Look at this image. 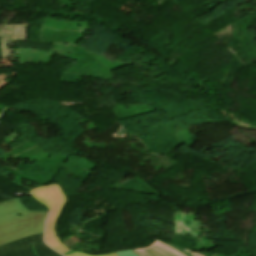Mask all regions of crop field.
<instances>
[{
    "instance_id": "2",
    "label": "crop field",
    "mask_w": 256,
    "mask_h": 256,
    "mask_svg": "<svg viewBox=\"0 0 256 256\" xmlns=\"http://www.w3.org/2000/svg\"><path fill=\"white\" fill-rule=\"evenodd\" d=\"M32 196L50 211L45 229V243L57 250L59 253L71 251L69 247L62 244L55 230L57 219L67 201L62 188L58 183L45 187H38L31 191Z\"/></svg>"
},
{
    "instance_id": "6",
    "label": "crop field",
    "mask_w": 256,
    "mask_h": 256,
    "mask_svg": "<svg viewBox=\"0 0 256 256\" xmlns=\"http://www.w3.org/2000/svg\"><path fill=\"white\" fill-rule=\"evenodd\" d=\"M35 254L37 256H60L58 253L51 250L45 243L33 245Z\"/></svg>"
},
{
    "instance_id": "5",
    "label": "crop field",
    "mask_w": 256,
    "mask_h": 256,
    "mask_svg": "<svg viewBox=\"0 0 256 256\" xmlns=\"http://www.w3.org/2000/svg\"><path fill=\"white\" fill-rule=\"evenodd\" d=\"M63 255L64 256H93V255L81 253V252H78V251L68 252V253H65ZM96 256H137V255L133 250H128V251H121V252L104 254V255H96Z\"/></svg>"
},
{
    "instance_id": "8",
    "label": "crop field",
    "mask_w": 256,
    "mask_h": 256,
    "mask_svg": "<svg viewBox=\"0 0 256 256\" xmlns=\"http://www.w3.org/2000/svg\"><path fill=\"white\" fill-rule=\"evenodd\" d=\"M158 241V240H157ZM161 242V241H160ZM166 244V243H165ZM169 245V244H167ZM172 245V244H171ZM169 245V246H171ZM172 248H174L175 250L179 251L180 253L186 255V256H202V255H199L195 252H191V251H188V250H185V249H181V248H178V247H174V246H171Z\"/></svg>"
},
{
    "instance_id": "3",
    "label": "crop field",
    "mask_w": 256,
    "mask_h": 256,
    "mask_svg": "<svg viewBox=\"0 0 256 256\" xmlns=\"http://www.w3.org/2000/svg\"><path fill=\"white\" fill-rule=\"evenodd\" d=\"M43 233L0 246V256H36L32 244L40 243Z\"/></svg>"
},
{
    "instance_id": "7",
    "label": "crop field",
    "mask_w": 256,
    "mask_h": 256,
    "mask_svg": "<svg viewBox=\"0 0 256 256\" xmlns=\"http://www.w3.org/2000/svg\"><path fill=\"white\" fill-rule=\"evenodd\" d=\"M14 128L15 126H11L0 122V139H2L5 135L11 132Z\"/></svg>"
},
{
    "instance_id": "4",
    "label": "crop field",
    "mask_w": 256,
    "mask_h": 256,
    "mask_svg": "<svg viewBox=\"0 0 256 256\" xmlns=\"http://www.w3.org/2000/svg\"><path fill=\"white\" fill-rule=\"evenodd\" d=\"M139 256H184L171 247L155 241L148 247L136 250Z\"/></svg>"
},
{
    "instance_id": "1",
    "label": "crop field",
    "mask_w": 256,
    "mask_h": 256,
    "mask_svg": "<svg viewBox=\"0 0 256 256\" xmlns=\"http://www.w3.org/2000/svg\"><path fill=\"white\" fill-rule=\"evenodd\" d=\"M47 213L31 212L19 197L1 202L0 245L42 233Z\"/></svg>"
}]
</instances>
